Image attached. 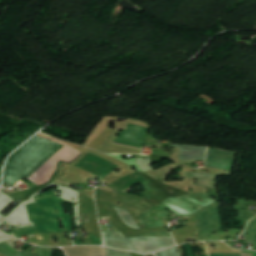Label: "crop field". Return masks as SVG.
<instances>
[{
  "label": "crop field",
  "mask_w": 256,
  "mask_h": 256,
  "mask_svg": "<svg viewBox=\"0 0 256 256\" xmlns=\"http://www.w3.org/2000/svg\"><path fill=\"white\" fill-rule=\"evenodd\" d=\"M64 148L45 138L34 137L9 158L3 184L14 186L23 177L28 179Z\"/></svg>",
  "instance_id": "8a807250"
},
{
  "label": "crop field",
  "mask_w": 256,
  "mask_h": 256,
  "mask_svg": "<svg viewBox=\"0 0 256 256\" xmlns=\"http://www.w3.org/2000/svg\"><path fill=\"white\" fill-rule=\"evenodd\" d=\"M34 198L36 203L26 207L34 227L21 229L12 227L14 236L72 231L70 214H65L62 207L63 199L59 198L54 191L37 195ZM58 219H61L65 230H60Z\"/></svg>",
  "instance_id": "ac0d7876"
},
{
  "label": "crop field",
  "mask_w": 256,
  "mask_h": 256,
  "mask_svg": "<svg viewBox=\"0 0 256 256\" xmlns=\"http://www.w3.org/2000/svg\"><path fill=\"white\" fill-rule=\"evenodd\" d=\"M199 198L202 201H198ZM214 202L209 194H191L180 198H169L144 213L147 227L164 226L162 218H167L165 207L170 211L177 213L183 217L198 211ZM157 217V219H155Z\"/></svg>",
  "instance_id": "34b2d1b8"
},
{
  "label": "crop field",
  "mask_w": 256,
  "mask_h": 256,
  "mask_svg": "<svg viewBox=\"0 0 256 256\" xmlns=\"http://www.w3.org/2000/svg\"><path fill=\"white\" fill-rule=\"evenodd\" d=\"M102 233L105 246L143 254L153 253L175 245L172 237H134L125 239L120 231Z\"/></svg>",
  "instance_id": "412701ff"
},
{
  "label": "crop field",
  "mask_w": 256,
  "mask_h": 256,
  "mask_svg": "<svg viewBox=\"0 0 256 256\" xmlns=\"http://www.w3.org/2000/svg\"><path fill=\"white\" fill-rule=\"evenodd\" d=\"M38 136H42L45 138H48L50 140H53L55 142H58L62 145H65L69 148H65L63 151H61L56 157H54L49 163H47L42 169H40L35 175H33L30 179L33 181L36 177H38L45 169H47L55 160H57L64 152H66L68 149V151L66 153H64L57 161H55L47 170H45L38 178H36L33 182L37 185L42 184L44 182L49 181L50 177L52 176V174L54 173L56 167H57V162L58 161H71L72 159H74L78 154H80L81 152L77 151L76 149L72 148L71 146L60 142L56 139L44 136V135H40L38 134Z\"/></svg>",
  "instance_id": "f4fd0767"
},
{
  "label": "crop field",
  "mask_w": 256,
  "mask_h": 256,
  "mask_svg": "<svg viewBox=\"0 0 256 256\" xmlns=\"http://www.w3.org/2000/svg\"><path fill=\"white\" fill-rule=\"evenodd\" d=\"M194 217L197 224L198 241L219 230L214 203L208 208L195 213Z\"/></svg>",
  "instance_id": "dd49c442"
},
{
  "label": "crop field",
  "mask_w": 256,
  "mask_h": 256,
  "mask_svg": "<svg viewBox=\"0 0 256 256\" xmlns=\"http://www.w3.org/2000/svg\"><path fill=\"white\" fill-rule=\"evenodd\" d=\"M235 154L234 152L210 148L206 157V166L231 171Z\"/></svg>",
  "instance_id": "e52e79f7"
},
{
  "label": "crop field",
  "mask_w": 256,
  "mask_h": 256,
  "mask_svg": "<svg viewBox=\"0 0 256 256\" xmlns=\"http://www.w3.org/2000/svg\"><path fill=\"white\" fill-rule=\"evenodd\" d=\"M0 253L7 256H52L51 248H44L36 246V253L28 251H16L7 242L0 244Z\"/></svg>",
  "instance_id": "d8731c3e"
},
{
  "label": "crop field",
  "mask_w": 256,
  "mask_h": 256,
  "mask_svg": "<svg viewBox=\"0 0 256 256\" xmlns=\"http://www.w3.org/2000/svg\"><path fill=\"white\" fill-rule=\"evenodd\" d=\"M68 256H106L103 247L80 246L64 248Z\"/></svg>",
  "instance_id": "5a996713"
},
{
  "label": "crop field",
  "mask_w": 256,
  "mask_h": 256,
  "mask_svg": "<svg viewBox=\"0 0 256 256\" xmlns=\"http://www.w3.org/2000/svg\"><path fill=\"white\" fill-rule=\"evenodd\" d=\"M172 146L181 147V153L179 160H204L205 152L207 148L189 145H177ZM184 148H190V150H183Z\"/></svg>",
  "instance_id": "3316defc"
},
{
  "label": "crop field",
  "mask_w": 256,
  "mask_h": 256,
  "mask_svg": "<svg viewBox=\"0 0 256 256\" xmlns=\"http://www.w3.org/2000/svg\"><path fill=\"white\" fill-rule=\"evenodd\" d=\"M185 175L186 177L198 179V186L214 188L216 184L214 181L217 175L215 174L185 172Z\"/></svg>",
  "instance_id": "28ad6ade"
},
{
  "label": "crop field",
  "mask_w": 256,
  "mask_h": 256,
  "mask_svg": "<svg viewBox=\"0 0 256 256\" xmlns=\"http://www.w3.org/2000/svg\"><path fill=\"white\" fill-rule=\"evenodd\" d=\"M246 230L249 231L246 240L253 242L251 249L256 250V217L248 223Z\"/></svg>",
  "instance_id": "d1516ede"
},
{
  "label": "crop field",
  "mask_w": 256,
  "mask_h": 256,
  "mask_svg": "<svg viewBox=\"0 0 256 256\" xmlns=\"http://www.w3.org/2000/svg\"><path fill=\"white\" fill-rule=\"evenodd\" d=\"M115 209H116L117 213L119 214V216L126 223V225L134 227V228H138V226L136 225V223L134 222V220L132 219V217L130 216L128 211L119 209V208H115Z\"/></svg>",
  "instance_id": "22f410ed"
},
{
  "label": "crop field",
  "mask_w": 256,
  "mask_h": 256,
  "mask_svg": "<svg viewBox=\"0 0 256 256\" xmlns=\"http://www.w3.org/2000/svg\"><path fill=\"white\" fill-rule=\"evenodd\" d=\"M105 249L107 256H131V254L128 252L108 248Z\"/></svg>",
  "instance_id": "cbeb9de0"
},
{
  "label": "crop field",
  "mask_w": 256,
  "mask_h": 256,
  "mask_svg": "<svg viewBox=\"0 0 256 256\" xmlns=\"http://www.w3.org/2000/svg\"><path fill=\"white\" fill-rule=\"evenodd\" d=\"M156 256H180L178 247L156 253Z\"/></svg>",
  "instance_id": "5142ce71"
},
{
  "label": "crop field",
  "mask_w": 256,
  "mask_h": 256,
  "mask_svg": "<svg viewBox=\"0 0 256 256\" xmlns=\"http://www.w3.org/2000/svg\"><path fill=\"white\" fill-rule=\"evenodd\" d=\"M142 236H171L170 232H151L145 233Z\"/></svg>",
  "instance_id": "d9b57169"
},
{
  "label": "crop field",
  "mask_w": 256,
  "mask_h": 256,
  "mask_svg": "<svg viewBox=\"0 0 256 256\" xmlns=\"http://www.w3.org/2000/svg\"><path fill=\"white\" fill-rule=\"evenodd\" d=\"M209 256H240V254H236V253H220V254H209Z\"/></svg>",
  "instance_id": "733c2abd"
},
{
  "label": "crop field",
  "mask_w": 256,
  "mask_h": 256,
  "mask_svg": "<svg viewBox=\"0 0 256 256\" xmlns=\"http://www.w3.org/2000/svg\"><path fill=\"white\" fill-rule=\"evenodd\" d=\"M183 246H184V248H185V250H186L188 256H194L193 253H192V251H191V249L188 247L187 244H184ZM204 256H207V255H204Z\"/></svg>",
  "instance_id": "4a817a6b"
},
{
  "label": "crop field",
  "mask_w": 256,
  "mask_h": 256,
  "mask_svg": "<svg viewBox=\"0 0 256 256\" xmlns=\"http://www.w3.org/2000/svg\"><path fill=\"white\" fill-rule=\"evenodd\" d=\"M130 147V146H129ZM139 149V148H138Z\"/></svg>",
  "instance_id": "bc2a9ffb"
}]
</instances>
